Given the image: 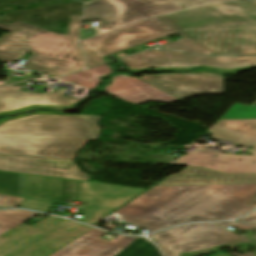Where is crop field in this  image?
Here are the masks:
<instances>
[{
	"instance_id": "9",
	"label": "crop field",
	"mask_w": 256,
	"mask_h": 256,
	"mask_svg": "<svg viewBox=\"0 0 256 256\" xmlns=\"http://www.w3.org/2000/svg\"><path fill=\"white\" fill-rule=\"evenodd\" d=\"M130 69L191 68L199 65L232 69L256 65V57H200L174 51H145L122 59Z\"/></svg>"
},
{
	"instance_id": "12",
	"label": "crop field",
	"mask_w": 256,
	"mask_h": 256,
	"mask_svg": "<svg viewBox=\"0 0 256 256\" xmlns=\"http://www.w3.org/2000/svg\"><path fill=\"white\" fill-rule=\"evenodd\" d=\"M0 170L31 173L86 181L89 176L78 170L71 160L0 155Z\"/></svg>"
},
{
	"instance_id": "18",
	"label": "crop field",
	"mask_w": 256,
	"mask_h": 256,
	"mask_svg": "<svg viewBox=\"0 0 256 256\" xmlns=\"http://www.w3.org/2000/svg\"><path fill=\"white\" fill-rule=\"evenodd\" d=\"M111 72L112 71L109 66L103 65L100 67L82 71L80 73L70 75L60 79L75 82L79 85H82L91 89H96L98 88L97 85L101 83V80H102L97 77L105 76Z\"/></svg>"
},
{
	"instance_id": "23",
	"label": "crop field",
	"mask_w": 256,
	"mask_h": 256,
	"mask_svg": "<svg viewBox=\"0 0 256 256\" xmlns=\"http://www.w3.org/2000/svg\"><path fill=\"white\" fill-rule=\"evenodd\" d=\"M184 8L204 4V3H210V2H219V1H229V0H170Z\"/></svg>"
},
{
	"instance_id": "24",
	"label": "crop field",
	"mask_w": 256,
	"mask_h": 256,
	"mask_svg": "<svg viewBox=\"0 0 256 256\" xmlns=\"http://www.w3.org/2000/svg\"><path fill=\"white\" fill-rule=\"evenodd\" d=\"M23 199L11 196L0 195V207L16 206L22 202Z\"/></svg>"
},
{
	"instance_id": "28",
	"label": "crop field",
	"mask_w": 256,
	"mask_h": 256,
	"mask_svg": "<svg viewBox=\"0 0 256 256\" xmlns=\"http://www.w3.org/2000/svg\"><path fill=\"white\" fill-rule=\"evenodd\" d=\"M237 221L256 222V212Z\"/></svg>"
},
{
	"instance_id": "31",
	"label": "crop field",
	"mask_w": 256,
	"mask_h": 256,
	"mask_svg": "<svg viewBox=\"0 0 256 256\" xmlns=\"http://www.w3.org/2000/svg\"><path fill=\"white\" fill-rule=\"evenodd\" d=\"M216 256H229L227 254H220V255H216Z\"/></svg>"
},
{
	"instance_id": "6",
	"label": "crop field",
	"mask_w": 256,
	"mask_h": 256,
	"mask_svg": "<svg viewBox=\"0 0 256 256\" xmlns=\"http://www.w3.org/2000/svg\"><path fill=\"white\" fill-rule=\"evenodd\" d=\"M182 9L168 0H100L87 5L84 20H101L98 33L145 17Z\"/></svg>"
},
{
	"instance_id": "13",
	"label": "crop field",
	"mask_w": 256,
	"mask_h": 256,
	"mask_svg": "<svg viewBox=\"0 0 256 256\" xmlns=\"http://www.w3.org/2000/svg\"><path fill=\"white\" fill-rule=\"evenodd\" d=\"M168 165L204 167L222 173H256V156H232L199 148Z\"/></svg>"
},
{
	"instance_id": "26",
	"label": "crop field",
	"mask_w": 256,
	"mask_h": 256,
	"mask_svg": "<svg viewBox=\"0 0 256 256\" xmlns=\"http://www.w3.org/2000/svg\"><path fill=\"white\" fill-rule=\"evenodd\" d=\"M34 108L50 109V110H62V108L53 107V106H33V107H29V108L21 109V110H17V111L1 113L0 115L16 114V113L24 112V111L31 110V109H34ZM67 108H69V107H67Z\"/></svg>"
},
{
	"instance_id": "17",
	"label": "crop field",
	"mask_w": 256,
	"mask_h": 256,
	"mask_svg": "<svg viewBox=\"0 0 256 256\" xmlns=\"http://www.w3.org/2000/svg\"><path fill=\"white\" fill-rule=\"evenodd\" d=\"M208 132L213 138L231 141L238 146L253 147L256 154V119L254 120H218Z\"/></svg>"
},
{
	"instance_id": "7",
	"label": "crop field",
	"mask_w": 256,
	"mask_h": 256,
	"mask_svg": "<svg viewBox=\"0 0 256 256\" xmlns=\"http://www.w3.org/2000/svg\"><path fill=\"white\" fill-rule=\"evenodd\" d=\"M105 233L92 229L50 256H162L143 237L119 235L109 242L100 238Z\"/></svg>"
},
{
	"instance_id": "29",
	"label": "crop field",
	"mask_w": 256,
	"mask_h": 256,
	"mask_svg": "<svg viewBox=\"0 0 256 256\" xmlns=\"http://www.w3.org/2000/svg\"><path fill=\"white\" fill-rule=\"evenodd\" d=\"M256 204V195L249 201L247 205Z\"/></svg>"
},
{
	"instance_id": "5",
	"label": "crop field",
	"mask_w": 256,
	"mask_h": 256,
	"mask_svg": "<svg viewBox=\"0 0 256 256\" xmlns=\"http://www.w3.org/2000/svg\"><path fill=\"white\" fill-rule=\"evenodd\" d=\"M90 229L52 216L33 226L19 225L0 237V256H46Z\"/></svg>"
},
{
	"instance_id": "27",
	"label": "crop field",
	"mask_w": 256,
	"mask_h": 256,
	"mask_svg": "<svg viewBox=\"0 0 256 256\" xmlns=\"http://www.w3.org/2000/svg\"><path fill=\"white\" fill-rule=\"evenodd\" d=\"M222 226L256 227V224L218 223Z\"/></svg>"
},
{
	"instance_id": "4",
	"label": "crop field",
	"mask_w": 256,
	"mask_h": 256,
	"mask_svg": "<svg viewBox=\"0 0 256 256\" xmlns=\"http://www.w3.org/2000/svg\"><path fill=\"white\" fill-rule=\"evenodd\" d=\"M80 18L70 16L73 21L66 36L22 22L0 23V29L11 32L0 38V61H16L26 52H32L23 65L27 69L46 71L55 77L83 69V54L76 45Z\"/></svg>"
},
{
	"instance_id": "15",
	"label": "crop field",
	"mask_w": 256,
	"mask_h": 256,
	"mask_svg": "<svg viewBox=\"0 0 256 256\" xmlns=\"http://www.w3.org/2000/svg\"><path fill=\"white\" fill-rule=\"evenodd\" d=\"M65 89L57 88L55 93L35 94L21 92L19 87L0 88V112L17 110L33 105L74 106L77 99L64 97Z\"/></svg>"
},
{
	"instance_id": "8",
	"label": "crop field",
	"mask_w": 256,
	"mask_h": 256,
	"mask_svg": "<svg viewBox=\"0 0 256 256\" xmlns=\"http://www.w3.org/2000/svg\"><path fill=\"white\" fill-rule=\"evenodd\" d=\"M167 256L230 243L239 238L212 223L188 224L151 236Z\"/></svg>"
},
{
	"instance_id": "2",
	"label": "crop field",
	"mask_w": 256,
	"mask_h": 256,
	"mask_svg": "<svg viewBox=\"0 0 256 256\" xmlns=\"http://www.w3.org/2000/svg\"><path fill=\"white\" fill-rule=\"evenodd\" d=\"M255 194L256 184L154 187L115 213L151 232L183 222L243 215L256 206H245Z\"/></svg>"
},
{
	"instance_id": "10",
	"label": "crop field",
	"mask_w": 256,
	"mask_h": 256,
	"mask_svg": "<svg viewBox=\"0 0 256 256\" xmlns=\"http://www.w3.org/2000/svg\"><path fill=\"white\" fill-rule=\"evenodd\" d=\"M139 79L179 98L223 93V76L214 73L146 75Z\"/></svg>"
},
{
	"instance_id": "1",
	"label": "crop field",
	"mask_w": 256,
	"mask_h": 256,
	"mask_svg": "<svg viewBox=\"0 0 256 256\" xmlns=\"http://www.w3.org/2000/svg\"><path fill=\"white\" fill-rule=\"evenodd\" d=\"M176 32L217 55H255L256 1L217 3L148 18L80 45L93 66L104 62L102 56Z\"/></svg>"
},
{
	"instance_id": "3",
	"label": "crop field",
	"mask_w": 256,
	"mask_h": 256,
	"mask_svg": "<svg viewBox=\"0 0 256 256\" xmlns=\"http://www.w3.org/2000/svg\"><path fill=\"white\" fill-rule=\"evenodd\" d=\"M100 116L37 115L0 126V154L73 159L88 140H96Z\"/></svg>"
},
{
	"instance_id": "11",
	"label": "crop field",
	"mask_w": 256,
	"mask_h": 256,
	"mask_svg": "<svg viewBox=\"0 0 256 256\" xmlns=\"http://www.w3.org/2000/svg\"><path fill=\"white\" fill-rule=\"evenodd\" d=\"M144 189L87 182L85 210L80 221L95 224L104 216L142 193Z\"/></svg>"
},
{
	"instance_id": "20",
	"label": "crop field",
	"mask_w": 256,
	"mask_h": 256,
	"mask_svg": "<svg viewBox=\"0 0 256 256\" xmlns=\"http://www.w3.org/2000/svg\"><path fill=\"white\" fill-rule=\"evenodd\" d=\"M256 118V108L235 103L220 119H253Z\"/></svg>"
},
{
	"instance_id": "19",
	"label": "crop field",
	"mask_w": 256,
	"mask_h": 256,
	"mask_svg": "<svg viewBox=\"0 0 256 256\" xmlns=\"http://www.w3.org/2000/svg\"><path fill=\"white\" fill-rule=\"evenodd\" d=\"M35 215L20 210L0 211V236Z\"/></svg>"
},
{
	"instance_id": "21",
	"label": "crop field",
	"mask_w": 256,
	"mask_h": 256,
	"mask_svg": "<svg viewBox=\"0 0 256 256\" xmlns=\"http://www.w3.org/2000/svg\"><path fill=\"white\" fill-rule=\"evenodd\" d=\"M164 48L180 50L194 54L215 55L187 38L164 45Z\"/></svg>"
},
{
	"instance_id": "22",
	"label": "crop field",
	"mask_w": 256,
	"mask_h": 256,
	"mask_svg": "<svg viewBox=\"0 0 256 256\" xmlns=\"http://www.w3.org/2000/svg\"><path fill=\"white\" fill-rule=\"evenodd\" d=\"M200 67L210 68V67H205V66H200ZM254 67H256V66L240 68V69H232V70H224V69H217V68H210V69H212L216 72H219V73H232V72H238V71H242V70L251 69V68H254ZM189 70H191V69L150 68V69L132 70V71L135 73V72H138V71H189Z\"/></svg>"
},
{
	"instance_id": "16",
	"label": "crop field",
	"mask_w": 256,
	"mask_h": 256,
	"mask_svg": "<svg viewBox=\"0 0 256 256\" xmlns=\"http://www.w3.org/2000/svg\"><path fill=\"white\" fill-rule=\"evenodd\" d=\"M186 168V167H185ZM256 183V174H221L204 168L187 167L156 186Z\"/></svg>"
},
{
	"instance_id": "30",
	"label": "crop field",
	"mask_w": 256,
	"mask_h": 256,
	"mask_svg": "<svg viewBox=\"0 0 256 256\" xmlns=\"http://www.w3.org/2000/svg\"><path fill=\"white\" fill-rule=\"evenodd\" d=\"M197 72H214V71L203 70V71H194L193 73H197ZM214 73H216V72H214Z\"/></svg>"
},
{
	"instance_id": "14",
	"label": "crop field",
	"mask_w": 256,
	"mask_h": 256,
	"mask_svg": "<svg viewBox=\"0 0 256 256\" xmlns=\"http://www.w3.org/2000/svg\"><path fill=\"white\" fill-rule=\"evenodd\" d=\"M105 91L123 101L139 105L143 102L154 100L170 103L179 99L155 88L138 78L117 75L113 77L110 86Z\"/></svg>"
},
{
	"instance_id": "25",
	"label": "crop field",
	"mask_w": 256,
	"mask_h": 256,
	"mask_svg": "<svg viewBox=\"0 0 256 256\" xmlns=\"http://www.w3.org/2000/svg\"><path fill=\"white\" fill-rule=\"evenodd\" d=\"M37 114H48V115H66V116H74V115H68V114H64V113H55V112H39V111H35L34 113H28V114H21L17 117H8V118H4L0 120V125L13 120V119H17V118H21V117H27V116H33V115H37Z\"/></svg>"
}]
</instances>
